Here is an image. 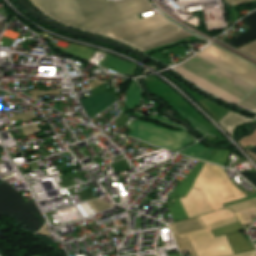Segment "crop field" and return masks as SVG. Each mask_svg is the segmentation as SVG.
Here are the masks:
<instances>
[{
	"instance_id": "6",
	"label": "crop field",
	"mask_w": 256,
	"mask_h": 256,
	"mask_svg": "<svg viewBox=\"0 0 256 256\" xmlns=\"http://www.w3.org/2000/svg\"><path fill=\"white\" fill-rule=\"evenodd\" d=\"M197 56L256 87V68H252L251 65L212 45Z\"/></svg>"
},
{
	"instance_id": "12",
	"label": "crop field",
	"mask_w": 256,
	"mask_h": 256,
	"mask_svg": "<svg viewBox=\"0 0 256 256\" xmlns=\"http://www.w3.org/2000/svg\"><path fill=\"white\" fill-rule=\"evenodd\" d=\"M237 221L238 220H237V218L235 216V217H232L230 219H227V220H224V221H221V222H218V223H214V224L208 225V228H206V229H202V230H198V231H194V232H189V233L181 234L179 236H180L181 239L189 237L191 242L197 241V240L206 239V238H212L213 235L211 234L210 230L218 228V227H221V226H224V225H227V224H230V223H234V222H237Z\"/></svg>"
},
{
	"instance_id": "26",
	"label": "crop field",
	"mask_w": 256,
	"mask_h": 256,
	"mask_svg": "<svg viewBox=\"0 0 256 256\" xmlns=\"http://www.w3.org/2000/svg\"><path fill=\"white\" fill-rule=\"evenodd\" d=\"M245 173H246V172H245ZM246 175H247L248 177H250L253 181L256 182V174H254V173H246Z\"/></svg>"
},
{
	"instance_id": "28",
	"label": "crop field",
	"mask_w": 256,
	"mask_h": 256,
	"mask_svg": "<svg viewBox=\"0 0 256 256\" xmlns=\"http://www.w3.org/2000/svg\"><path fill=\"white\" fill-rule=\"evenodd\" d=\"M248 150L256 154V146H254V147H252V148H250Z\"/></svg>"
},
{
	"instance_id": "17",
	"label": "crop field",
	"mask_w": 256,
	"mask_h": 256,
	"mask_svg": "<svg viewBox=\"0 0 256 256\" xmlns=\"http://www.w3.org/2000/svg\"><path fill=\"white\" fill-rule=\"evenodd\" d=\"M230 154L231 153H228V152L214 150L212 152L211 156L209 157L208 161L214 162V163H217V164H220V165L226 167L229 157H230Z\"/></svg>"
},
{
	"instance_id": "3",
	"label": "crop field",
	"mask_w": 256,
	"mask_h": 256,
	"mask_svg": "<svg viewBox=\"0 0 256 256\" xmlns=\"http://www.w3.org/2000/svg\"><path fill=\"white\" fill-rule=\"evenodd\" d=\"M83 20L70 25L79 29H89L131 15H135L154 7L147 0H73Z\"/></svg>"
},
{
	"instance_id": "15",
	"label": "crop field",
	"mask_w": 256,
	"mask_h": 256,
	"mask_svg": "<svg viewBox=\"0 0 256 256\" xmlns=\"http://www.w3.org/2000/svg\"><path fill=\"white\" fill-rule=\"evenodd\" d=\"M243 116V115H242ZM236 113L230 112L225 118L220 121V124L231 134L236 126L245 122H254V120L242 117Z\"/></svg>"
},
{
	"instance_id": "25",
	"label": "crop field",
	"mask_w": 256,
	"mask_h": 256,
	"mask_svg": "<svg viewBox=\"0 0 256 256\" xmlns=\"http://www.w3.org/2000/svg\"><path fill=\"white\" fill-rule=\"evenodd\" d=\"M252 197H256V194L255 195H252V196H249V197H246L242 200H239V201H235V202H231V203H228V204H224L223 206H226V205H230V204H234V203H238V202H241V201H244L246 199H249V198H252Z\"/></svg>"
},
{
	"instance_id": "19",
	"label": "crop field",
	"mask_w": 256,
	"mask_h": 256,
	"mask_svg": "<svg viewBox=\"0 0 256 256\" xmlns=\"http://www.w3.org/2000/svg\"><path fill=\"white\" fill-rule=\"evenodd\" d=\"M252 215H256V208L236 213V216L238 217L241 225L252 223Z\"/></svg>"
},
{
	"instance_id": "30",
	"label": "crop field",
	"mask_w": 256,
	"mask_h": 256,
	"mask_svg": "<svg viewBox=\"0 0 256 256\" xmlns=\"http://www.w3.org/2000/svg\"><path fill=\"white\" fill-rule=\"evenodd\" d=\"M244 2H247V1H253V0H243Z\"/></svg>"
},
{
	"instance_id": "16",
	"label": "crop field",
	"mask_w": 256,
	"mask_h": 256,
	"mask_svg": "<svg viewBox=\"0 0 256 256\" xmlns=\"http://www.w3.org/2000/svg\"><path fill=\"white\" fill-rule=\"evenodd\" d=\"M232 216H234L233 212L229 210H220L208 215L201 216V218L205 222V224L208 225L210 223L217 222Z\"/></svg>"
},
{
	"instance_id": "23",
	"label": "crop field",
	"mask_w": 256,
	"mask_h": 256,
	"mask_svg": "<svg viewBox=\"0 0 256 256\" xmlns=\"http://www.w3.org/2000/svg\"><path fill=\"white\" fill-rule=\"evenodd\" d=\"M21 130L23 131L25 136L31 135V134L36 133V132H40V129L37 126V124L22 127Z\"/></svg>"
},
{
	"instance_id": "24",
	"label": "crop field",
	"mask_w": 256,
	"mask_h": 256,
	"mask_svg": "<svg viewBox=\"0 0 256 256\" xmlns=\"http://www.w3.org/2000/svg\"><path fill=\"white\" fill-rule=\"evenodd\" d=\"M233 256H256V251L253 252H248V253H242V254H237Z\"/></svg>"
},
{
	"instance_id": "33",
	"label": "crop field",
	"mask_w": 256,
	"mask_h": 256,
	"mask_svg": "<svg viewBox=\"0 0 256 256\" xmlns=\"http://www.w3.org/2000/svg\"><path fill=\"white\" fill-rule=\"evenodd\" d=\"M0 164H2V163L0 162Z\"/></svg>"
},
{
	"instance_id": "21",
	"label": "crop field",
	"mask_w": 256,
	"mask_h": 256,
	"mask_svg": "<svg viewBox=\"0 0 256 256\" xmlns=\"http://www.w3.org/2000/svg\"><path fill=\"white\" fill-rule=\"evenodd\" d=\"M89 205L92 207V209L95 211V213L103 211L105 209H108V208H111L114 206L112 204H109V203L104 202L99 199L89 202Z\"/></svg>"
},
{
	"instance_id": "8",
	"label": "crop field",
	"mask_w": 256,
	"mask_h": 256,
	"mask_svg": "<svg viewBox=\"0 0 256 256\" xmlns=\"http://www.w3.org/2000/svg\"><path fill=\"white\" fill-rule=\"evenodd\" d=\"M203 164L204 162L199 161L195 168L187 175V177L173 190L172 194H174V196L169 207L173 222L187 219L177 198L186 196L193 182L197 178Z\"/></svg>"
},
{
	"instance_id": "14",
	"label": "crop field",
	"mask_w": 256,
	"mask_h": 256,
	"mask_svg": "<svg viewBox=\"0 0 256 256\" xmlns=\"http://www.w3.org/2000/svg\"><path fill=\"white\" fill-rule=\"evenodd\" d=\"M226 238L235 254L255 250L252 242L246 241L242 233L227 235Z\"/></svg>"
},
{
	"instance_id": "11",
	"label": "crop field",
	"mask_w": 256,
	"mask_h": 256,
	"mask_svg": "<svg viewBox=\"0 0 256 256\" xmlns=\"http://www.w3.org/2000/svg\"><path fill=\"white\" fill-rule=\"evenodd\" d=\"M82 105L84 106L86 112L92 119L101 111L106 109L112 103H114V99L109 92L103 93L97 96H93L84 100H81Z\"/></svg>"
},
{
	"instance_id": "9",
	"label": "crop field",
	"mask_w": 256,
	"mask_h": 256,
	"mask_svg": "<svg viewBox=\"0 0 256 256\" xmlns=\"http://www.w3.org/2000/svg\"><path fill=\"white\" fill-rule=\"evenodd\" d=\"M198 256H229L233 252L225 236L192 243Z\"/></svg>"
},
{
	"instance_id": "22",
	"label": "crop field",
	"mask_w": 256,
	"mask_h": 256,
	"mask_svg": "<svg viewBox=\"0 0 256 256\" xmlns=\"http://www.w3.org/2000/svg\"><path fill=\"white\" fill-rule=\"evenodd\" d=\"M126 23H127L126 20L123 19V20L113 22V23H110V24H107V25H104V26H101V27H98V28H94V29H91V30H88V31L96 33V32H100V31H103V30H106V29L117 27V26H120V25H123V24H126Z\"/></svg>"
},
{
	"instance_id": "18",
	"label": "crop field",
	"mask_w": 256,
	"mask_h": 256,
	"mask_svg": "<svg viewBox=\"0 0 256 256\" xmlns=\"http://www.w3.org/2000/svg\"><path fill=\"white\" fill-rule=\"evenodd\" d=\"M242 229L243 228L240 226L239 222H237V223H234V224H231V225L221 227V228L216 229V230H212L211 232L213 233L214 237H216V236H220V235H223V234L239 232Z\"/></svg>"
},
{
	"instance_id": "34",
	"label": "crop field",
	"mask_w": 256,
	"mask_h": 256,
	"mask_svg": "<svg viewBox=\"0 0 256 256\" xmlns=\"http://www.w3.org/2000/svg\"><path fill=\"white\" fill-rule=\"evenodd\" d=\"M256 246V245H255Z\"/></svg>"
},
{
	"instance_id": "10",
	"label": "crop field",
	"mask_w": 256,
	"mask_h": 256,
	"mask_svg": "<svg viewBox=\"0 0 256 256\" xmlns=\"http://www.w3.org/2000/svg\"><path fill=\"white\" fill-rule=\"evenodd\" d=\"M170 227H171V231L178 243L180 250L182 251V250L188 249L191 256H196V254L193 250V247H192L191 243L189 242V239L187 238V239L180 240L178 234L206 228V225L201 220V218L197 217L194 219L174 223V224H171Z\"/></svg>"
},
{
	"instance_id": "31",
	"label": "crop field",
	"mask_w": 256,
	"mask_h": 256,
	"mask_svg": "<svg viewBox=\"0 0 256 256\" xmlns=\"http://www.w3.org/2000/svg\"><path fill=\"white\" fill-rule=\"evenodd\" d=\"M41 256H48L47 254H45V255H41Z\"/></svg>"
},
{
	"instance_id": "32",
	"label": "crop field",
	"mask_w": 256,
	"mask_h": 256,
	"mask_svg": "<svg viewBox=\"0 0 256 256\" xmlns=\"http://www.w3.org/2000/svg\"><path fill=\"white\" fill-rule=\"evenodd\" d=\"M253 111L256 112V109H254Z\"/></svg>"
},
{
	"instance_id": "2",
	"label": "crop field",
	"mask_w": 256,
	"mask_h": 256,
	"mask_svg": "<svg viewBox=\"0 0 256 256\" xmlns=\"http://www.w3.org/2000/svg\"><path fill=\"white\" fill-rule=\"evenodd\" d=\"M175 71L203 90L234 105L255 89L196 56L175 67Z\"/></svg>"
},
{
	"instance_id": "1",
	"label": "crop field",
	"mask_w": 256,
	"mask_h": 256,
	"mask_svg": "<svg viewBox=\"0 0 256 256\" xmlns=\"http://www.w3.org/2000/svg\"><path fill=\"white\" fill-rule=\"evenodd\" d=\"M173 24L158 14L98 34L121 41L144 52L193 36Z\"/></svg>"
},
{
	"instance_id": "5",
	"label": "crop field",
	"mask_w": 256,
	"mask_h": 256,
	"mask_svg": "<svg viewBox=\"0 0 256 256\" xmlns=\"http://www.w3.org/2000/svg\"><path fill=\"white\" fill-rule=\"evenodd\" d=\"M36 212L46 222L34 202L25 203L21 195L6 181L0 184V215H11L36 233L42 224L34 214Z\"/></svg>"
},
{
	"instance_id": "29",
	"label": "crop field",
	"mask_w": 256,
	"mask_h": 256,
	"mask_svg": "<svg viewBox=\"0 0 256 256\" xmlns=\"http://www.w3.org/2000/svg\"><path fill=\"white\" fill-rule=\"evenodd\" d=\"M168 256H181L180 253H176V254H170Z\"/></svg>"
},
{
	"instance_id": "4",
	"label": "crop field",
	"mask_w": 256,
	"mask_h": 256,
	"mask_svg": "<svg viewBox=\"0 0 256 256\" xmlns=\"http://www.w3.org/2000/svg\"><path fill=\"white\" fill-rule=\"evenodd\" d=\"M193 188L203 191L213 211L223 209L221 204L246 197L227 177L223 169L205 163Z\"/></svg>"
},
{
	"instance_id": "7",
	"label": "crop field",
	"mask_w": 256,
	"mask_h": 256,
	"mask_svg": "<svg viewBox=\"0 0 256 256\" xmlns=\"http://www.w3.org/2000/svg\"><path fill=\"white\" fill-rule=\"evenodd\" d=\"M34 5L51 18L65 23L82 21L72 0H31Z\"/></svg>"
},
{
	"instance_id": "20",
	"label": "crop field",
	"mask_w": 256,
	"mask_h": 256,
	"mask_svg": "<svg viewBox=\"0 0 256 256\" xmlns=\"http://www.w3.org/2000/svg\"><path fill=\"white\" fill-rule=\"evenodd\" d=\"M256 90L250 94L244 101H242L238 106L252 111L256 107Z\"/></svg>"
},
{
	"instance_id": "13",
	"label": "crop field",
	"mask_w": 256,
	"mask_h": 256,
	"mask_svg": "<svg viewBox=\"0 0 256 256\" xmlns=\"http://www.w3.org/2000/svg\"><path fill=\"white\" fill-rule=\"evenodd\" d=\"M243 23L249 26L247 33L239 36L238 38L228 42L227 44L236 47L254 37H256V11L247 15L242 20Z\"/></svg>"
},
{
	"instance_id": "27",
	"label": "crop field",
	"mask_w": 256,
	"mask_h": 256,
	"mask_svg": "<svg viewBox=\"0 0 256 256\" xmlns=\"http://www.w3.org/2000/svg\"><path fill=\"white\" fill-rule=\"evenodd\" d=\"M242 176H244L248 181H251L250 183L256 187V183H254L250 178H248L244 172H239Z\"/></svg>"
}]
</instances>
